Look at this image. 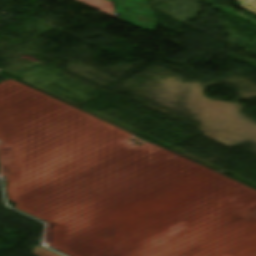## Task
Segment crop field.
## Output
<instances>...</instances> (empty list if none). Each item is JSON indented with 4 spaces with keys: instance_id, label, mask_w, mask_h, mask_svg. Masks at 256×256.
Instances as JSON below:
<instances>
[{
    "instance_id": "obj_3",
    "label": "crop field",
    "mask_w": 256,
    "mask_h": 256,
    "mask_svg": "<svg viewBox=\"0 0 256 256\" xmlns=\"http://www.w3.org/2000/svg\"><path fill=\"white\" fill-rule=\"evenodd\" d=\"M238 2L242 3L240 7L256 14V0H238Z\"/></svg>"
},
{
    "instance_id": "obj_4",
    "label": "crop field",
    "mask_w": 256,
    "mask_h": 256,
    "mask_svg": "<svg viewBox=\"0 0 256 256\" xmlns=\"http://www.w3.org/2000/svg\"><path fill=\"white\" fill-rule=\"evenodd\" d=\"M33 253L38 255V256H59L57 254H54V253H52L48 250H45V249L41 248V247H35Z\"/></svg>"
},
{
    "instance_id": "obj_1",
    "label": "crop field",
    "mask_w": 256,
    "mask_h": 256,
    "mask_svg": "<svg viewBox=\"0 0 256 256\" xmlns=\"http://www.w3.org/2000/svg\"><path fill=\"white\" fill-rule=\"evenodd\" d=\"M123 21L125 23H132L134 27L136 28H141L145 30H150L154 31L157 21L153 20V17L151 16H144V15H139L135 13H126V12H121ZM150 23H154V25H150Z\"/></svg>"
},
{
    "instance_id": "obj_2",
    "label": "crop field",
    "mask_w": 256,
    "mask_h": 256,
    "mask_svg": "<svg viewBox=\"0 0 256 256\" xmlns=\"http://www.w3.org/2000/svg\"><path fill=\"white\" fill-rule=\"evenodd\" d=\"M149 0H113L117 11L134 10L144 14H152L149 6Z\"/></svg>"
}]
</instances>
